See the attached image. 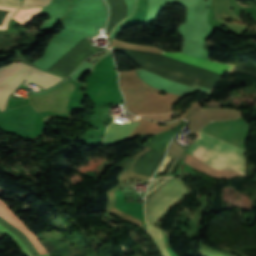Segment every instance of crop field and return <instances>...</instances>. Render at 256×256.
Wrapping results in <instances>:
<instances>
[{"label":"crop field","instance_id":"obj_1","mask_svg":"<svg viewBox=\"0 0 256 256\" xmlns=\"http://www.w3.org/2000/svg\"><path fill=\"white\" fill-rule=\"evenodd\" d=\"M199 134L187 153L213 168L232 169L245 175V156H242L243 153H246L244 149L232 146L201 131Z\"/></svg>","mask_w":256,"mask_h":256},{"label":"crop field","instance_id":"obj_2","mask_svg":"<svg viewBox=\"0 0 256 256\" xmlns=\"http://www.w3.org/2000/svg\"><path fill=\"white\" fill-rule=\"evenodd\" d=\"M34 69L35 67L27 65H11L0 68V108H2L7 102L10 92L16 88L24 78L32 73ZM27 78V81L24 84L25 86L33 82L43 87L42 89L48 88L63 79L58 76L45 73L37 68Z\"/></svg>","mask_w":256,"mask_h":256},{"label":"crop field","instance_id":"obj_3","mask_svg":"<svg viewBox=\"0 0 256 256\" xmlns=\"http://www.w3.org/2000/svg\"><path fill=\"white\" fill-rule=\"evenodd\" d=\"M187 191L188 189L183 182L171 178L146 202L147 222L154 225L163 213Z\"/></svg>","mask_w":256,"mask_h":256},{"label":"crop field","instance_id":"obj_4","mask_svg":"<svg viewBox=\"0 0 256 256\" xmlns=\"http://www.w3.org/2000/svg\"><path fill=\"white\" fill-rule=\"evenodd\" d=\"M35 114L29 105L2 112L0 113V129L31 140Z\"/></svg>","mask_w":256,"mask_h":256},{"label":"crop field","instance_id":"obj_5","mask_svg":"<svg viewBox=\"0 0 256 256\" xmlns=\"http://www.w3.org/2000/svg\"><path fill=\"white\" fill-rule=\"evenodd\" d=\"M74 90V84L67 82L59 88L40 95H28L31 107L37 112L43 110H54L68 114L67 102Z\"/></svg>","mask_w":256,"mask_h":256},{"label":"crop field","instance_id":"obj_6","mask_svg":"<svg viewBox=\"0 0 256 256\" xmlns=\"http://www.w3.org/2000/svg\"><path fill=\"white\" fill-rule=\"evenodd\" d=\"M240 114L241 112L239 111L228 110V109H218V108L191 109L188 115V121H189L188 127H190L191 130L188 132V134L198 132L205 124L211 121L237 119Z\"/></svg>","mask_w":256,"mask_h":256},{"label":"crop field","instance_id":"obj_7","mask_svg":"<svg viewBox=\"0 0 256 256\" xmlns=\"http://www.w3.org/2000/svg\"><path fill=\"white\" fill-rule=\"evenodd\" d=\"M165 4L166 0L149 1V22L155 21L158 13ZM141 22H148V0H137V7L134 13L129 18L123 20L120 30L128 25Z\"/></svg>","mask_w":256,"mask_h":256},{"label":"crop field","instance_id":"obj_8","mask_svg":"<svg viewBox=\"0 0 256 256\" xmlns=\"http://www.w3.org/2000/svg\"><path fill=\"white\" fill-rule=\"evenodd\" d=\"M161 54L164 56L170 57V58H174V59L192 64V65H196V66H199V67H202L205 69H209V70H212L215 72H219L222 74L225 72L231 71L233 68L231 65L192 57L183 52L172 53V52L162 51Z\"/></svg>","mask_w":256,"mask_h":256},{"label":"crop field","instance_id":"obj_9","mask_svg":"<svg viewBox=\"0 0 256 256\" xmlns=\"http://www.w3.org/2000/svg\"><path fill=\"white\" fill-rule=\"evenodd\" d=\"M0 216L4 217L11 224L17 227L20 231L25 233L27 237L31 240V242L35 245V247L40 252V254L46 253L44 248L39 244L36 236L30 230H28L18 218H16L13 215V213L9 210L8 206H6L1 200H0Z\"/></svg>","mask_w":256,"mask_h":256},{"label":"crop field","instance_id":"obj_10","mask_svg":"<svg viewBox=\"0 0 256 256\" xmlns=\"http://www.w3.org/2000/svg\"><path fill=\"white\" fill-rule=\"evenodd\" d=\"M149 227V233L153 239V241L155 242V244L157 245V247L159 248V250L161 251L163 256H170V254L168 253L166 247H165V242H164V238H163V232L161 229H158L150 224H148Z\"/></svg>","mask_w":256,"mask_h":256},{"label":"crop field","instance_id":"obj_11","mask_svg":"<svg viewBox=\"0 0 256 256\" xmlns=\"http://www.w3.org/2000/svg\"><path fill=\"white\" fill-rule=\"evenodd\" d=\"M168 155L174 156L180 160L183 161L184 157L186 156L187 153H185L181 147L171 143L170 148L168 150Z\"/></svg>","mask_w":256,"mask_h":256},{"label":"crop field","instance_id":"obj_12","mask_svg":"<svg viewBox=\"0 0 256 256\" xmlns=\"http://www.w3.org/2000/svg\"><path fill=\"white\" fill-rule=\"evenodd\" d=\"M0 231L7 233L28 256H31V254L28 252V250L24 247V245L20 242V240L17 238L15 234H13L11 231L6 229L1 224H0ZM41 256H48V255H41Z\"/></svg>","mask_w":256,"mask_h":256},{"label":"crop field","instance_id":"obj_13","mask_svg":"<svg viewBox=\"0 0 256 256\" xmlns=\"http://www.w3.org/2000/svg\"><path fill=\"white\" fill-rule=\"evenodd\" d=\"M50 0H24L23 8L30 6H47Z\"/></svg>","mask_w":256,"mask_h":256},{"label":"crop field","instance_id":"obj_14","mask_svg":"<svg viewBox=\"0 0 256 256\" xmlns=\"http://www.w3.org/2000/svg\"><path fill=\"white\" fill-rule=\"evenodd\" d=\"M21 0H0V4L12 5L20 7Z\"/></svg>","mask_w":256,"mask_h":256},{"label":"crop field","instance_id":"obj_15","mask_svg":"<svg viewBox=\"0 0 256 256\" xmlns=\"http://www.w3.org/2000/svg\"><path fill=\"white\" fill-rule=\"evenodd\" d=\"M77 67H78V66H77ZM77 67H76V68H77ZM76 68H75V69H76ZM75 69H74V70H75ZM74 70H73V71H74ZM73 71H72V72H73ZM72 72H71V73H72ZM71 73H70V74H71ZM70 74H69V75H70ZM69 75H68V76H69ZM68 76H67V77H68ZM67 77H66V78H67Z\"/></svg>","mask_w":256,"mask_h":256}]
</instances>
